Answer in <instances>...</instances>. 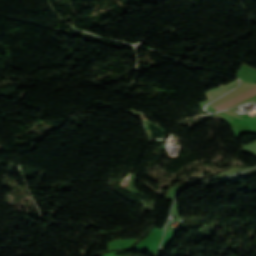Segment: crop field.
I'll return each instance as SVG.
<instances>
[{
	"label": "crop field",
	"mask_w": 256,
	"mask_h": 256,
	"mask_svg": "<svg viewBox=\"0 0 256 256\" xmlns=\"http://www.w3.org/2000/svg\"><path fill=\"white\" fill-rule=\"evenodd\" d=\"M256 131V130H255Z\"/></svg>",
	"instance_id": "obj_2"
},
{
	"label": "crop field",
	"mask_w": 256,
	"mask_h": 256,
	"mask_svg": "<svg viewBox=\"0 0 256 256\" xmlns=\"http://www.w3.org/2000/svg\"><path fill=\"white\" fill-rule=\"evenodd\" d=\"M237 85H238V79L235 80V82H232L226 86L218 87V88L212 89L210 91H207L206 96L208 97V100L205 102H202L201 105L205 106L209 102L213 101L214 99H216L217 97L226 93L227 91H229L230 89L234 88Z\"/></svg>",
	"instance_id": "obj_1"
}]
</instances>
